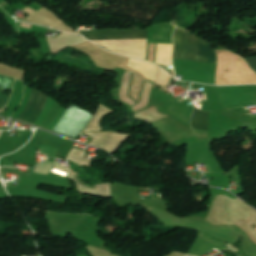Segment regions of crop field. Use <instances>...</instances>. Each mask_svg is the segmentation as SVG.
Returning a JSON list of instances; mask_svg holds the SVG:
<instances>
[{"label": "crop field", "mask_w": 256, "mask_h": 256, "mask_svg": "<svg viewBox=\"0 0 256 256\" xmlns=\"http://www.w3.org/2000/svg\"><path fill=\"white\" fill-rule=\"evenodd\" d=\"M182 30L176 28L173 41V58L178 59ZM194 35L183 30L179 59L191 60ZM192 60L216 63L214 46L206 43L195 35Z\"/></svg>", "instance_id": "8a807250"}, {"label": "crop field", "mask_w": 256, "mask_h": 256, "mask_svg": "<svg viewBox=\"0 0 256 256\" xmlns=\"http://www.w3.org/2000/svg\"><path fill=\"white\" fill-rule=\"evenodd\" d=\"M91 117L90 112L71 104L53 132L74 139L86 127Z\"/></svg>", "instance_id": "ac0d7876"}, {"label": "crop field", "mask_w": 256, "mask_h": 256, "mask_svg": "<svg viewBox=\"0 0 256 256\" xmlns=\"http://www.w3.org/2000/svg\"><path fill=\"white\" fill-rule=\"evenodd\" d=\"M109 50L125 56L145 60L147 39L92 40Z\"/></svg>", "instance_id": "34b2d1b8"}, {"label": "crop field", "mask_w": 256, "mask_h": 256, "mask_svg": "<svg viewBox=\"0 0 256 256\" xmlns=\"http://www.w3.org/2000/svg\"><path fill=\"white\" fill-rule=\"evenodd\" d=\"M46 98L47 96L44 93L32 89L27 107L23 111V113L18 117V119L25 120L33 124L36 118L41 113Z\"/></svg>", "instance_id": "412701ff"}, {"label": "crop field", "mask_w": 256, "mask_h": 256, "mask_svg": "<svg viewBox=\"0 0 256 256\" xmlns=\"http://www.w3.org/2000/svg\"><path fill=\"white\" fill-rule=\"evenodd\" d=\"M169 77L170 75L160 68L156 83L166 85L169 80Z\"/></svg>", "instance_id": "f4fd0767"}, {"label": "crop field", "mask_w": 256, "mask_h": 256, "mask_svg": "<svg viewBox=\"0 0 256 256\" xmlns=\"http://www.w3.org/2000/svg\"><path fill=\"white\" fill-rule=\"evenodd\" d=\"M6 89L0 88V109H2L8 100V97L3 94Z\"/></svg>", "instance_id": "dd49c442"}, {"label": "crop field", "mask_w": 256, "mask_h": 256, "mask_svg": "<svg viewBox=\"0 0 256 256\" xmlns=\"http://www.w3.org/2000/svg\"><path fill=\"white\" fill-rule=\"evenodd\" d=\"M247 61L249 62L250 66H251L254 70H256V57H254V58H249V59H247Z\"/></svg>", "instance_id": "e52e79f7"}, {"label": "crop field", "mask_w": 256, "mask_h": 256, "mask_svg": "<svg viewBox=\"0 0 256 256\" xmlns=\"http://www.w3.org/2000/svg\"><path fill=\"white\" fill-rule=\"evenodd\" d=\"M20 24H21V26H23V27L31 28V25L24 24V23H21V22H20Z\"/></svg>", "instance_id": "d8731c3e"}]
</instances>
